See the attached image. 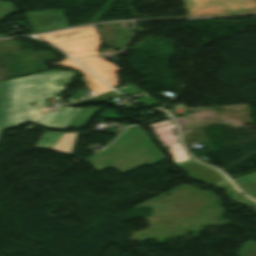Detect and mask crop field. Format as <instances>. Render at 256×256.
<instances>
[{
	"label": "crop field",
	"mask_w": 256,
	"mask_h": 256,
	"mask_svg": "<svg viewBox=\"0 0 256 256\" xmlns=\"http://www.w3.org/2000/svg\"><path fill=\"white\" fill-rule=\"evenodd\" d=\"M189 17L256 12V0H184Z\"/></svg>",
	"instance_id": "412701ff"
},
{
	"label": "crop field",
	"mask_w": 256,
	"mask_h": 256,
	"mask_svg": "<svg viewBox=\"0 0 256 256\" xmlns=\"http://www.w3.org/2000/svg\"><path fill=\"white\" fill-rule=\"evenodd\" d=\"M233 182L245 194L256 199V173L233 179Z\"/></svg>",
	"instance_id": "3316defc"
},
{
	"label": "crop field",
	"mask_w": 256,
	"mask_h": 256,
	"mask_svg": "<svg viewBox=\"0 0 256 256\" xmlns=\"http://www.w3.org/2000/svg\"><path fill=\"white\" fill-rule=\"evenodd\" d=\"M19 46L10 40H0V51L4 50H18Z\"/></svg>",
	"instance_id": "d9b57169"
},
{
	"label": "crop field",
	"mask_w": 256,
	"mask_h": 256,
	"mask_svg": "<svg viewBox=\"0 0 256 256\" xmlns=\"http://www.w3.org/2000/svg\"><path fill=\"white\" fill-rule=\"evenodd\" d=\"M145 137L141 130H139L136 126L127 129L125 132L121 134V136L112 143L111 147L106 149L103 152L97 153L92 157L88 158L89 161L93 162L102 158H105L109 155H112L116 152H119L139 139Z\"/></svg>",
	"instance_id": "e52e79f7"
},
{
	"label": "crop field",
	"mask_w": 256,
	"mask_h": 256,
	"mask_svg": "<svg viewBox=\"0 0 256 256\" xmlns=\"http://www.w3.org/2000/svg\"><path fill=\"white\" fill-rule=\"evenodd\" d=\"M43 37L42 39L60 47L74 58L97 54L100 45V39L91 26L47 34Z\"/></svg>",
	"instance_id": "34b2d1b8"
},
{
	"label": "crop field",
	"mask_w": 256,
	"mask_h": 256,
	"mask_svg": "<svg viewBox=\"0 0 256 256\" xmlns=\"http://www.w3.org/2000/svg\"><path fill=\"white\" fill-rule=\"evenodd\" d=\"M16 12L15 7L13 6L12 2H3L0 1V20L3 19L5 16ZM7 36L0 34V37Z\"/></svg>",
	"instance_id": "cbeb9de0"
},
{
	"label": "crop field",
	"mask_w": 256,
	"mask_h": 256,
	"mask_svg": "<svg viewBox=\"0 0 256 256\" xmlns=\"http://www.w3.org/2000/svg\"><path fill=\"white\" fill-rule=\"evenodd\" d=\"M101 108H88L83 109L78 117L75 119L72 125L69 128H79L82 129L87 126L88 122L98 113Z\"/></svg>",
	"instance_id": "28ad6ade"
},
{
	"label": "crop field",
	"mask_w": 256,
	"mask_h": 256,
	"mask_svg": "<svg viewBox=\"0 0 256 256\" xmlns=\"http://www.w3.org/2000/svg\"><path fill=\"white\" fill-rule=\"evenodd\" d=\"M236 254L237 256H256V242L247 241Z\"/></svg>",
	"instance_id": "22f410ed"
},
{
	"label": "crop field",
	"mask_w": 256,
	"mask_h": 256,
	"mask_svg": "<svg viewBox=\"0 0 256 256\" xmlns=\"http://www.w3.org/2000/svg\"><path fill=\"white\" fill-rule=\"evenodd\" d=\"M63 67H71L72 69L78 70L84 74V77L82 78L86 87L90 90L96 92L97 94L109 90L110 88L107 87L103 82H101L99 79L93 77L88 71H86L84 68L76 64L75 62L71 61L70 59H67L58 65Z\"/></svg>",
	"instance_id": "d8731c3e"
},
{
	"label": "crop field",
	"mask_w": 256,
	"mask_h": 256,
	"mask_svg": "<svg viewBox=\"0 0 256 256\" xmlns=\"http://www.w3.org/2000/svg\"><path fill=\"white\" fill-rule=\"evenodd\" d=\"M233 202L238 203L240 205H245L247 207L256 204L244 196H241L240 198L234 200Z\"/></svg>",
	"instance_id": "733c2abd"
},
{
	"label": "crop field",
	"mask_w": 256,
	"mask_h": 256,
	"mask_svg": "<svg viewBox=\"0 0 256 256\" xmlns=\"http://www.w3.org/2000/svg\"><path fill=\"white\" fill-rule=\"evenodd\" d=\"M217 187H220L222 188L223 190L226 191V193L228 194L230 200H233L239 196H241V193L238 192L233 186L232 184L227 181V182H224V183H221V184H218V185H215Z\"/></svg>",
	"instance_id": "5142ce71"
},
{
	"label": "crop field",
	"mask_w": 256,
	"mask_h": 256,
	"mask_svg": "<svg viewBox=\"0 0 256 256\" xmlns=\"http://www.w3.org/2000/svg\"><path fill=\"white\" fill-rule=\"evenodd\" d=\"M26 14L36 33L69 27L61 10Z\"/></svg>",
	"instance_id": "f4fd0767"
},
{
	"label": "crop field",
	"mask_w": 256,
	"mask_h": 256,
	"mask_svg": "<svg viewBox=\"0 0 256 256\" xmlns=\"http://www.w3.org/2000/svg\"><path fill=\"white\" fill-rule=\"evenodd\" d=\"M73 72L50 71L29 77L0 82V128L27 121L47 128H66L82 109L63 107L54 113H43L45 98L63 91ZM36 102L37 106H29Z\"/></svg>",
	"instance_id": "8a807250"
},
{
	"label": "crop field",
	"mask_w": 256,
	"mask_h": 256,
	"mask_svg": "<svg viewBox=\"0 0 256 256\" xmlns=\"http://www.w3.org/2000/svg\"><path fill=\"white\" fill-rule=\"evenodd\" d=\"M77 135L78 133H63L50 149L70 155L74 148Z\"/></svg>",
	"instance_id": "5a996713"
},
{
	"label": "crop field",
	"mask_w": 256,
	"mask_h": 256,
	"mask_svg": "<svg viewBox=\"0 0 256 256\" xmlns=\"http://www.w3.org/2000/svg\"><path fill=\"white\" fill-rule=\"evenodd\" d=\"M61 134L62 133H48V132H45L44 136L39 141V143L36 145V147L49 149L52 146V144L59 138V136Z\"/></svg>",
	"instance_id": "d1516ede"
},
{
	"label": "crop field",
	"mask_w": 256,
	"mask_h": 256,
	"mask_svg": "<svg viewBox=\"0 0 256 256\" xmlns=\"http://www.w3.org/2000/svg\"><path fill=\"white\" fill-rule=\"evenodd\" d=\"M78 61L111 86L118 85V77L115 72L120 71V69L112 63L102 60L98 56L79 59Z\"/></svg>",
	"instance_id": "dd49c442"
},
{
	"label": "crop field",
	"mask_w": 256,
	"mask_h": 256,
	"mask_svg": "<svg viewBox=\"0 0 256 256\" xmlns=\"http://www.w3.org/2000/svg\"><path fill=\"white\" fill-rule=\"evenodd\" d=\"M142 157L146 158L143 159ZM163 159H165L164 154L147 137L132 146L130 149L114 155L104 161L92 164V166L97 171H102L112 167L118 170L120 173L124 174L140 165L147 164L151 166ZM130 166L133 167L121 171L122 169L128 168Z\"/></svg>",
	"instance_id": "ac0d7876"
}]
</instances>
